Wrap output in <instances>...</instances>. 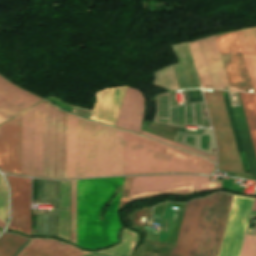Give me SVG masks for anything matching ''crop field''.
<instances>
[{"instance_id": "3", "label": "crop field", "mask_w": 256, "mask_h": 256, "mask_svg": "<svg viewBox=\"0 0 256 256\" xmlns=\"http://www.w3.org/2000/svg\"><path fill=\"white\" fill-rule=\"evenodd\" d=\"M232 197L216 193L187 203L177 244L170 256H217Z\"/></svg>"}, {"instance_id": "5", "label": "crop field", "mask_w": 256, "mask_h": 256, "mask_svg": "<svg viewBox=\"0 0 256 256\" xmlns=\"http://www.w3.org/2000/svg\"><path fill=\"white\" fill-rule=\"evenodd\" d=\"M229 86L252 88L235 31L215 35ZM213 36L188 43L200 82L207 87H229Z\"/></svg>"}, {"instance_id": "17", "label": "crop field", "mask_w": 256, "mask_h": 256, "mask_svg": "<svg viewBox=\"0 0 256 256\" xmlns=\"http://www.w3.org/2000/svg\"><path fill=\"white\" fill-rule=\"evenodd\" d=\"M27 238L16 234H6L0 237V256H14L27 242Z\"/></svg>"}, {"instance_id": "18", "label": "crop field", "mask_w": 256, "mask_h": 256, "mask_svg": "<svg viewBox=\"0 0 256 256\" xmlns=\"http://www.w3.org/2000/svg\"><path fill=\"white\" fill-rule=\"evenodd\" d=\"M71 241L76 243V181H71Z\"/></svg>"}, {"instance_id": "22", "label": "crop field", "mask_w": 256, "mask_h": 256, "mask_svg": "<svg viewBox=\"0 0 256 256\" xmlns=\"http://www.w3.org/2000/svg\"><path fill=\"white\" fill-rule=\"evenodd\" d=\"M6 224H4L3 222L0 221V228H4Z\"/></svg>"}, {"instance_id": "11", "label": "crop field", "mask_w": 256, "mask_h": 256, "mask_svg": "<svg viewBox=\"0 0 256 256\" xmlns=\"http://www.w3.org/2000/svg\"><path fill=\"white\" fill-rule=\"evenodd\" d=\"M6 178L11 188L12 219L9 228L30 235V178Z\"/></svg>"}, {"instance_id": "16", "label": "crop field", "mask_w": 256, "mask_h": 256, "mask_svg": "<svg viewBox=\"0 0 256 256\" xmlns=\"http://www.w3.org/2000/svg\"><path fill=\"white\" fill-rule=\"evenodd\" d=\"M256 153V95L239 93Z\"/></svg>"}, {"instance_id": "20", "label": "crop field", "mask_w": 256, "mask_h": 256, "mask_svg": "<svg viewBox=\"0 0 256 256\" xmlns=\"http://www.w3.org/2000/svg\"><path fill=\"white\" fill-rule=\"evenodd\" d=\"M142 135H145V136H148V137H151V138H154V139H157V140H160V141H163L165 143H168V144H171V145H174V146H177V147H180V148H183V149H186V150H189L191 152H194V153H197V154H200L202 156H205L213 161H215V157L214 156H211L209 154H206V153H203L201 151H198V150H195L193 148H190V147H187L185 145H182V144H179L177 142H174V141H171V140H168V139H164V138H161V137H158V136H155V135H151V134H148V133H145L142 131L141 133Z\"/></svg>"}, {"instance_id": "24", "label": "crop field", "mask_w": 256, "mask_h": 256, "mask_svg": "<svg viewBox=\"0 0 256 256\" xmlns=\"http://www.w3.org/2000/svg\"><path fill=\"white\" fill-rule=\"evenodd\" d=\"M255 29V33H256V28H254Z\"/></svg>"}, {"instance_id": "23", "label": "crop field", "mask_w": 256, "mask_h": 256, "mask_svg": "<svg viewBox=\"0 0 256 256\" xmlns=\"http://www.w3.org/2000/svg\"><path fill=\"white\" fill-rule=\"evenodd\" d=\"M252 210H256V199L254 200V205H253V209Z\"/></svg>"}, {"instance_id": "4", "label": "crop field", "mask_w": 256, "mask_h": 256, "mask_svg": "<svg viewBox=\"0 0 256 256\" xmlns=\"http://www.w3.org/2000/svg\"><path fill=\"white\" fill-rule=\"evenodd\" d=\"M124 177L99 178L77 181V244L89 249L117 242L120 228L116 210L119 194L109 207L105 219L98 221L103 205L122 185Z\"/></svg>"}, {"instance_id": "12", "label": "crop field", "mask_w": 256, "mask_h": 256, "mask_svg": "<svg viewBox=\"0 0 256 256\" xmlns=\"http://www.w3.org/2000/svg\"><path fill=\"white\" fill-rule=\"evenodd\" d=\"M4 79L0 76V115L3 117L9 119L43 101Z\"/></svg>"}, {"instance_id": "15", "label": "crop field", "mask_w": 256, "mask_h": 256, "mask_svg": "<svg viewBox=\"0 0 256 256\" xmlns=\"http://www.w3.org/2000/svg\"><path fill=\"white\" fill-rule=\"evenodd\" d=\"M236 32L252 83L253 91L256 92V36L254 29L251 28Z\"/></svg>"}, {"instance_id": "9", "label": "crop field", "mask_w": 256, "mask_h": 256, "mask_svg": "<svg viewBox=\"0 0 256 256\" xmlns=\"http://www.w3.org/2000/svg\"><path fill=\"white\" fill-rule=\"evenodd\" d=\"M253 200L251 198L233 197L218 256H239Z\"/></svg>"}, {"instance_id": "14", "label": "crop field", "mask_w": 256, "mask_h": 256, "mask_svg": "<svg viewBox=\"0 0 256 256\" xmlns=\"http://www.w3.org/2000/svg\"><path fill=\"white\" fill-rule=\"evenodd\" d=\"M88 254L54 240L31 239L17 256H82Z\"/></svg>"}, {"instance_id": "13", "label": "crop field", "mask_w": 256, "mask_h": 256, "mask_svg": "<svg viewBox=\"0 0 256 256\" xmlns=\"http://www.w3.org/2000/svg\"><path fill=\"white\" fill-rule=\"evenodd\" d=\"M144 105L145 99L142 93L127 87L115 126L138 133L142 123Z\"/></svg>"}, {"instance_id": "7", "label": "crop field", "mask_w": 256, "mask_h": 256, "mask_svg": "<svg viewBox=\"0 0 256 256\" xmlns=\"http://www.w3.org/2000/svg\"><path fill=\"white\" fill-rule=\"evenodd\" d=\"M221 92H203L218 145V170L247 174L242 171Z\"/></svg>"}, {"instance_id": "2", "label": "crop field", "mask_w": 256, "mask_h": 256, "mask_svg": "<svg viewBox=\"0 0 256 256\" xmlns=\"http://www.w3.org/2000/svg\"><path fill=\"white\" fill-rule=\"evenodd\" d=\"M123 131L68 113L66 178L122 175Z\"/></svg>"}, {"instance_id": "10", "label": "crop field", "mask_w": 256, "mask_h": 256, "mask_svg": "<svg viewBox=\"0 0 256 256\" xmlns=\"http://www.w3.org/2000/svg\"><path fill=\"white\" fill-rule=\"evenodd\" d=\"M22 114L0 125V169L21 174Z\"/></svg>"}, {"instance_id": "19", "label": "crop field", "mask_w": 256, "mask_h": 256, "mask_svg": "<svg viewBox=\"0 0 256 256\" xmlns=\"http://www.w3.org/2000/svg\"><path fill=\"white\" fill-rule=\"evenodd\" d=\"M240 256H256V235H245Z\"/></svg>"}, {"instance_id": "21", "label": "crop field", "mask_w": 256, "mask_h": 256, "mask_svg": "<svg viewBox=\"0 0 256 256\" xmlns=\"http://www.w3.org/2000/svg\"><path fill=\"white\" fill-rule=\"evenodd\" d=\"M132 178H133V177H127V178H126L125 186H124L123 195H122V199H121V203H120L119 210H120V208H121L124 204H126V202H127V198H128V194H129V190H130Z\"/></svg>"}, {"instance_id": "6", "label": "crop field", "mask_w": 256, "mask_h": 256, "mask_svg": "<svg viewBox=\"0 0 256 256\" xmlns=\"http://www.w3.org/2000/svg\"><path fill=\"white\" fill-rule=\"evenodd\" d=\"M193 155L124 131L123 175L192 173ZM214 164L194 155L193 173L211 174Z\"/></svg>"}, {"instance_id": "1", "label": "crop field", "mask_w": 256, "mask_h": 256, "mask_svg": "<svg viewBox=\"0 0 256 256\" xmlns=\"http://www.w3.org/2000/svg\"><path fill=\"white\" fill-rule=\"evenodd\" d=\"M52 106L23 112L22 175L65 178L67 113Z\"/></svg>"}, {"instance_id": "8", "label": "crop field", "mask_w": 256, "mask_h": 256, "mask_svg": "<svg viewBox=\"0 0 256 256\" xmlns=\"http://www.w3.org/2000/svg\"><path fill=\"white\" fill-rule=\"evenodd\" d=\"M197 178L198 176L134 177L128 202L165 193H193ZM218 187H221V183H212L209 177L199 176L195 192Z\"/></svg>"}]
</instances>
